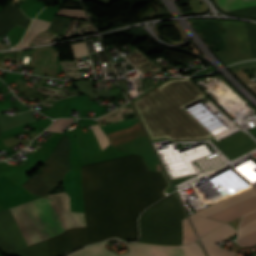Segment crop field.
Here are the masks:
<instances>
[{
    "label": "crop field",
    "mask_w": 256,
    "mask_h": 256,
    "mask_svg": "<svg viewBox=\"0 0 256 256\" xmlns=\"http://www.w3.org/2000/svg\"><path fill=\"white\" fill-rule=\"evenodd\" d=\"M86 227L48 239V255L59 256L110 237L135 240L137 217L162 198V173L149 172L140 156L131 155L81 167Z\"/></svg>",
    "instance_id": "obj_1"
},
{
    "label": "crop field",
    "mask_w": 256,
    "mask_h": 256,
    "mask_svg": "<svg viewBox=\"0 0 256 256\" xmlns=\"http://www.w3.org/2000/svg\"><path fill=\"white\" fill-rule=\"evenodd\" d=\"M206 97L188 78L170 79L132 104L151 141L210 135L182 108Z\"/></svg>",
    "instance_id": "obj_2"
},
{
    "label": "crop field",
    "mask_w": 256,
    "mask_h": 256,
    "mask_svg": "<svg viewBox=\"0 0 256 256\" xmlns=\"http://www.w3.org/2000/svg\"><path fill=\"white\" fill-rule=\"evenodd\" d=\"M185 215L173 193L142 212L137 242L181 245V220Z\"/></svg>",
    "instance_id": "obj_3"
},
{
    "label": "crop field",
    "mask_w": 256,
    "mask_h": 256,
    "mask_svg": "<svg viewBox=\"0 0 256 256\" xmlns=\"http://www.w3.org/2000/svg\"><path fill=\"white\" fill-rule=\"evenodd\" d=\"M9 210L27 246L55 237L65 230L48 199H36Z\"/></svg>",
    "instance_id": "obj_4"
},
{
    "label": "crop field",
    "mask_w": 256,
    "mask_h": 256,
    "mask_svg": "<svg viewBox=\"0 0 256 256\" xmlns=\"http://www.w3.org/2000/svg\"><path fill=\"white\" fill-rule=\"evenodd\" d=\"M225 33H220L224 48L216 51L226 63L250 59V52L243 22L220 20Z\"/></svg>",
    "instance_id": "obj_5"
},
{
    "label": "crop field",
    "mask_w": 256,
    "mask_h": 256,
    "mask_svg": "<svg viewBox=\"0 0 256 256\" xmlns=\"http://www.w3.org/2000/svg\"><path fill=\"white\" fill-rule=\"evenodd\" d=\"M128 253L116 255L104 246L107 241L93 244L76 250L66 256H152L146 244L125 243ZM153 256H185L181 246H151L148 245Z\"/></svg>",
    "instance_id": "obj_6"
},
{
    "label": "crop field",
    "mask_w": 256,
    "mask_h": 256,
    "mask_svg": "<svg viewBox=\"0 0 256 256\" xmlns=\"http://www.w3.org/2000/svg\"><path fill=\"white\" fill-rule=\"evenodd\" d=\"M46 198L51 199L65 229L85 226L83 213L70 212L69 196L65 192L54 195L48 193Z\"/></svg>",
    "instance_id": "obj_7"
},
{
    "label": "crop field",
    "mask_w": 256,
    "mask_h": 256,
    "mask_svg": "<svg viewBox=\"0 0 256 256\" xmlns=\"http://www.w3.org/2000/svg\"><path fill=\"white\" fill-rule=\"evenodd\" d=\"M228 225L225 224L201 238L209 256H234L236 254L234 252L224 250L214 244L236 233V230Z\"/></svg>",
    "instance_id": "obj_8"
},
{
    "label": "crop field",
    "mask_w": 256,
    "mask_h": 256,
    "mask_svg": "<svg viewBox=\"0 0 256 256\" xmlns=\"http://www.w3.org/2000/svg\"><path fill=\"white\" fill-rule=\"evenodd\" d=\"M31 19L12 3L0 10V36L18 25L27 29Z\"/></svg>",
    "instance_id": "obj_9"
},
{
    "label": "crop field",
    "mask_w": 256,
    "mask_h": 256,
    "mask_svg": "<svg viewBox=\"0 0 256 256\" xmlns=\"http://www.w3.org/2000/svg\"><path fill=\"white\" fill-rule=\"evenodd\" d=\"M50 47L51 46L35 49L33 52L32 58L30 60V63L28 65V66H32V67L41 68L40 73H39L40 75H42V73H43L47 58L49 56ZM56 60H57V58H56L55 51H54L53 47H51L50 56L47 61L43 75L56 77V70L58 68V64H57Z\"/></svg>",
    "instance_id": "obj_10"
},
{
    "label": "crop field",
    "mask_w": 256,
    "mask_h": 256,
    "mask_svg": "<svg viewBox=\"0 0 256 256\" xmlns=\"http://www.w3.org/2000/svg\"><path fill=\"white\" fill-rule=\"evenodd\" d=\"M256 191V186L253 187ZM256 210V196L239 204L230 206L226 209H223L217 213H214L208 217H212L218 220L228 222L234 218L242 216L244 214L250 213Z\"/></svg>",
    "instance_id": "obj_11"
},
{
    "label": "crop field",
    "mask_w": 256,
    "mask_h": 256,
    "mask_svg": "<svg viewBox=\"0 0 256 256\" xmlns=\"http://www.w3.org/2000/svg\"><path fill=\"white\" fill-rule=\"evenodd\" d=\"M0 251L8 256H47L46 240L15 251L0 238Z\"/></svg>",
    "instance_id": "obj_12"
},
{
    "label": "crop field",
    "mask_w": 256,
    "mask_h": 256,
    "mask_svg": "<svg viewBox=\"0 0 256 256\" xmlns=\"http://www.w3.org/2000/svg\"><path fill=\"white\" fill-rule=\"evenodd\" d=\"M255 195H256V192L252 188H250V189L245 190L241 193H238V194L233 195L229 198H226L222 201H219V202H217L213 205H210V206L196 212V214L207 216V215L212 214L214 212H217V211H219V210H221V209H223L227 206H230L232 204H235L237 202H240L242 200H245V199L250 198V197L255 196Z\"/></svg>",
    "instance_id": "obj_13"
},
{
    "label": "crop field",
    "mask_w": 256,
    "mask_h": 256,
    "mask_svg": "<svg viewBox=\"0 0 256 256\" xmlns=\"http://www.w3.org/2000/svg\"><path fill=\"white\" fill-rule=\"evenodd\" d=\"M113 146L144 136V133L137 121L136 124L110 134H107Z\"/></svg>",
    "instance_id": "obj_14"
},
{
    "label": "crop field",
    "mask_w": 256,
    "mask_h": 256,
    "mask_svg": "<svg viewBox=\"0 0 256 256\" xmlns=\"http://www.w3.org/2000/svg\"><path fill=\"white\" fill-rule=\"evenodd\" d=\"M199 237L208 233L212 229L223 224L222 222L214 221L211 219H207L201 216H197L194 214L189 215Z\"/></svg>",
    "instance_id": "obj_15"
},
{
    "label": "crop field",
    "mask_w": 256,
    "mask_h": 256,
    "mask_svg": "<svg viewBox=\"0 0 256 256\" xmlns=\"http://www.w3.org/2000/svg\"><path fill=\"white\" fill-rule=\"evenodd\" d=\"M49 24H50L49 22L42 21V20H39V19L35 18L34 22L32 23V25L27 30L25 37L15 47L27 46L29 44V42L38 33L45 31L47 29V27L49 26ZM15 47H13V48H15Z\"/></svg>",
    "instance_id": "obj_16"
},
{
    "label": "crop field",
    "mask_w": 256,
    "mask_h": 256,
    "mask_svg": "<svg viewBox=\"0 0 256 256\" xmlns=\"http://www.w3.org/2000/svg\"><path fill=\"white\" fill-rule=\"evenodd\" d=\"M224 11L255 6L256 0H214Z\"/></svg>",
    "instance_id": "obj_17"
},
{
    "label": "crop field",
    "mask_w": 256,
    "mask_h": 256,
    "mask_svg": "<svg viewBox=\"0 0 256 256\" xmlns=\"http://www.w3.org/2000/svg\"><path fill=\"white\" fill-rule=\"evenodd\" d=\"M256 218V211L253 212V213H250L246 216H244L242 219H241V222H240V226L241 227L242 225L246 224L247 222L253 220ZM240 245L242 246H252L254 244H256V232L250 234V235H247L245 237H243L242 239H240L239 241H237Z\"/></svg>",
    "instance_id": "obj_18"
},
{
    "label": "crop field",
    "mask_w": 256,
    "mask_h": 256,
    "mask_svg": "<svg viewBox=\"0 0 256 256\" xmlns=\"http://www.w3.org/2000/svg\"><path fill=\"white\" fill-rule=\"evenodd\" d=\"M182 231H183V240H182V245L190 243L197 239L187 217L182 220Z\"/></svg>",
    "instance_id": "obj_19"
},
{
    "label": "crop field",
    "mask_w": 256,
    "mask_h": 256,
    "mask_svg": "<svg viewBox=\"0 0 256 256\" xmlns=\"http://www.w3.org/2000/svg\"><path fill=\"white\" fill-rule=\"evenodd\" d=\"M186 256H205L198 244L195 242L192 244H188L185 246H182Z\"/></svg>",
    "instance_id": "obj_20"
},
{
    "label": "crop field",
    "mask_w": 256,
    "mask_h": 256,
    "mask_svg": "<svg viewBox=\"0 0 256 256\" xmlns=\"http://www.w3.org/2000/svg\"><path fill=\"white\" fill-rule=\"evenodd\" d=\"M73 121L74 120L72 119H57L47 130L53 132H61L64 127H66Z\"/></svg>",
    "instance_id": "obj_21"
},
{
    "label": "crop field",
    "mask_w": 256,
    "mask_h": 256,
    "mask_svg": "<svg viewBox=\"0 0 256 256\" xmlns=\"http://www.w3.org/2000/svg\"><path fill=\"white\" fill-rule=\"evenodd\" d=\"M91 128L97 138V141H98L101 149L106 147L109 144V142L107 140V137L101 131L100 127L98 125H92Z\"/></svg>",
    "instance_id": "obj_22"
},
{
    "label": "crop field",
    "mask_w": 256,
    "mask_h": 256,
    "mask_svg": "<svg viewBox=\"0 0 256 256\" xmlns=\"http://www.w3.org/2000/svg\"><path fill=\"white\" fill-rule=\"evenodd\" d=\"M253 231H256V220L239 228L237 240Z\"/></svg>",
    "instance_id": "obj_23"
},
{
    "label": "crop field",
    "mask_w": 256,
    "mask_h": 256,
    "mask_svg": "<svg viewBox=\"0 0 256 256\" xmlns=\"http://www.w3.org/2000/svg\"><path fill=\"white\" fill-rule=\"evenodd\" d=\"M75 57L87 55V50L83 42L70 45Z\"/></svg>",
    "instance_id": "obj_24"
},
{
    "label": "crop field",
    "mask_w": 256,
    "mask_h": 256,
    "mask_svg": "<svg viewBox=\"0 0 256 256\" xmlns=\"http://www.w3.org/2000/svg\"><path fill=\"white\" fill-rule=\"evenodd\" d=\"M57 14L86 18L83 11L79 9H63L60 10Z\"/></svg>",
    "instance_id": "obj_25"
},
{
    "label": "crop field",
    "mask_w": 256,
    "mask_h": 256,
    "mask_svg": "<svg viewBox=\"0 0 256 256\" xmlns=\"http://www.w3.org/2000/svg\"><path fill=\"white\" fill-rule=\"evenodd\" d=\"M253 67H256V61L236 64V65L231 66L229 68L231 69L232 72H234V71H237V70H240V69L253 68Z\"/></svg>",
    "instance_id": "obj_26"
},
{
    "label": "crop field",
    "mask_w": 256,
    "mask_h": 256,
    "mask_svg": "<svg viewBox=\"0 0 256 256\" xmlns=\"http://www.w3.org/2000/svg\"><path fill=\"white\" fill-rule=\"evenodd\" d=\"M250 90L256 94V82L245 84Z\"/></svg>",
    "instance_id": "obj_27"
}]
</instances>
